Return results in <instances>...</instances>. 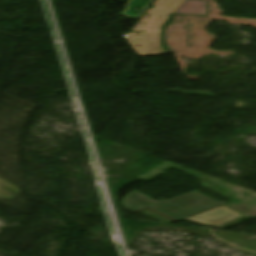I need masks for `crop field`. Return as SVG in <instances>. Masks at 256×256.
<instances>
[{
    "label": "crop field",
    "mask_w": 256,
    "mask_h": 256,
    "mask_svg": "<svg viewBox=\"0 0 256 256\" xmlns=\"http://www.w3.org/2000/svg\"><path fill=\"white\" fill-rule=\"evenodd\" d=\"M241 216L244 215L221 205L219 207L184 219V221L216 226L231 221L233 219L239 218Z\"/></svg>",
    "instance_id": "3"
},
{
    "label": "crop field",
    "mask_w": 256,
    "mask_h": 256,
    "mask_svg": "<svg viewBox=\"0 0 256 256\" xmlns=\"http://www.w3.org/2000/svg\"><path fill=\"white\" fill-rule=\"evenodd\" d=\"M154 0H129L125 10L120 13L125 17L131 19H140L144 12L148 9ZM139 7V11H135V8Z\"/></svg>",
    "instance_id": "4"
},
{
    "label": "crop field",
    "mask_w": 256,
    "mask_h": 256,
    "mask_svg": "<svg viewBox=\"0 0 256 256\" xmlns=\"http://www.w3.org/2000/svg\"><path fill=\"white\" fill-rule=\"evenodd\" d=\"M221 205L220 203L196 192H190L169 201H154L134 190L123 198L122 206L138 211L150 207L176 221Z\"/></svg>",
    "instance_id": "2"
},
{
    "label": "crop field",
    "mask_w": 256,
    "mask_h": 256,
    "mask_svg": "<svg viewBox=\"0 0 256 256\" xmlns=\"http://www.w3.org/2000/svg\"><path fill=\"white\" fill-rule=\"evenodd\" d=\"M157 1L153 4V6H155L153 7L154 9H150L132 30L146 31V33H140V37H138L137 33L124 35L139 56L166 54L161 46V29L169 19L170 14L207 16L208 2L190 0ZM193 4L197 5V7ZM200 12H203V14H200ZM147 14H150V17H148ZM143 23H146V25H143ZM137 38H140V40H137ZM134 41H136V43ZM151 42L153 45L150 44ZM138 46H140V48H138Z\"/></svg>",
    "instance_id": "1"
},
{
    "label": "crop field",
    "mask_w": 256,
    "mask_h": 256,
    "mask_svg": "<svg viewBox=\"0 0 256 256\" xmlns=\"http://www.w3.org/2000/svg\"><path fill=\"white\" fill-rule=\"evenodd\" d=\"M248 220H251V218H249V217H244V218H242V219H239V220H237V221L231 222V223H229V224L223 225V226L218 227V228L226 229V228H229V227H231V226H234V225L243 223V222L248 221Z\"/></svg>",
    "instance_id": "5"
}]
</instances>
